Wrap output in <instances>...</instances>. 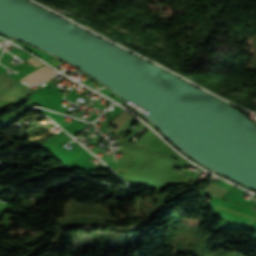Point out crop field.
<instances>
[{"label":"crop field","instance_id":"1","mask_svg":"<svg viewBox=\"0 0 256 256\" xmlns=\"http://www.w3.org/2000/svg\"><path fill=\"white\" fill-rule=\"evenodd\" d=\"M55 73H57V72L53 71L52 69H50L49 67L44 65V66L40 67L39 69H37L36 71L27 75L26 77L22 78L20 81L25 82L30 85H33L35 83H38V82L48 79Z\"/></svg>","mask_w":256,"mask_h":256}]
</instances>
